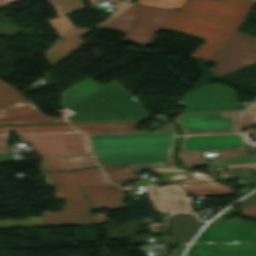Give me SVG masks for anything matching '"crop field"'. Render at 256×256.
I'll use <instances>...</instances> for the list:
<instances>
[{
	"instance_id": "crop-field-29",
	"label": "crop field",
	"mask_w": 256,
	"mask_h": 256,
	"mask_svg": "<svg viewBox=\"0 0 256 256\" xmlns=\"http://www.w3.org/2000/svg\"><path fill=\"white\" fill-rule=\"evenodd\" d=\"M49 23L61 36L68 28L74 27L66 15L48 19Z\"/></svg>"
},
{
	"instance_id": "crop-field-19",
	"label": "crop field",
	"mask_w": 256,
	"mask_h": 256,
	"mask_svg": "<svg viewBox=\"0 0 256 256\" xmlns=\"http://www.w3.org/2000/svg\"><path fill=\"white\" fill-rule=\"evenodd\" d=\"M49 165H52L49 166ZM42 171L80 170L97 166L93 157L42 159Z\"/></svg>"
},
{
	"instance_id": "crop-field-24",
	"label": "crop field",
	"mask_w": 256,
	"mask_h": 256,
	"mask_svg": "<svg viewBox=\"0 0 256 256\" xmlns=\"http://www.w3.org/2000/svg\"><path fill=\"white\" fill-rule=\"evenodd\" d=\"M224 164L256 161V156H249L246 149L218 150Z\"/></svg>"
},
{
	"instance_id": "crop-field-31",
	"label": "crop field",
	"mask_w": 256,
	"mask_h": 256,
	"mask_svg": "<svg viewBox=\"0 0 256 256\" xmlns=\"http://www.w3.org/2000/svg\"><path fill=\"white\" fill-rule=\"evenodd\" d=\"M132 3H128V2H123L121 1L119 4H117V6H120L118 9H116L114 12H112L111 14H109V16L103 20L98 26L97 28H101L102 26H104L106 23H108L111 19H113L116 15H118L121 11H123L125 8H127L128 6H130Z\"/></svg>"
},
{
	"instance_id": "crop-field-20",
	"label": "crop field",
	"mask_w": 256,
	"mask_h": 256,
	"mask_svg": "<svg viewBox=\"0 0 256 256\" xmlns=\"http://www.w3.org/2000/svg\"><path fill=\"white\" fill-rule=\"evenodd\" d=\"M100 87L102 86L88 77L62 92L60 105L61 107L67 106Z\"/></svg>"
},
{
	"instance_id": "crop-field-2",
	"label": "crop field",
	"mask_w": 256,
	"mask_h": 256,
	"mask_svg": "<svg viewBox=\"0 0 256 256\" xmlns=\"http://www.w3.org/2000/svg\"><path fill=\"white\" fill-rule=\"evenodd\" d=\"M140 122L73 125L83 134L94 155L150 153L173 157L177 132L169 122L151 132L133 130Z\"/></svg>"
},
{
	"instance_id": "crop-field-25",
	"label": "crop field",
	"mask_w": 256,
	"mask_h": 256,
	"mask_svg": "<svg viewBox=\"0 0 256 256\" xmlns=\"http://www.w3.org/2000/svg\"><path fill=\"white\" fill-rule=\"evenodd\" d=\"M50 3L56 10V15H63L84 8L80 0H43Z\"/></svg>"
},
{
	"instance_id": "crop-field-17",
	"label": "crop field",
	"mask_w": 256,
	"mask_h": 256,
	"mask_svg": "<svg viewBox=\"0 0 256 256\" xmlns=\"http://www.w3.org/2000/svg\"><path fill=\"white\" fill-rule=\"evenodd\" d=\"M203 222L197 221L192 214H176L168 218L167 227L172 237H167L166 243H185L195 234Z\"/></svg>"
},
{
	"instance_id": "crop-field-10",
	"label": "crop field",
	"mask_w": 256,
	"mask_h": 256,
	"mask_svg": "<svg viewBox=\"0 0 256 256\" xmlns=\"http://www.w3.org/2000/svg\"><path fill=\"white\" fill-rule=\"evenodd\" d=\"M95 157L108 177L111 179V182L115 184L141 179L138 174L131 171V166L135 163L151 162L169 166L175 164L174 159L155 158L148 154H126Z\"/></svg>"
},
{
	"instance_id": "crop-field-38",
	"label": "crop field",
	"mask_w": 256,
	"mask_h": 256,
	"mask_svg": "<svg viewBox=\"0 0 256 256\" xmlns=\"http://www.w3.org/2000/svg\"><path fill=\"white\" fill-rule=\"evenodd\" d=\"M14 1H17V0H0V6L4 5V4H7V3L14 2Z\"/></svg>"
},
{
	"instance_id": "crop-field-6",
	"label": "crop field",
	"mask_w": 256,
	"mask_h": 256,
	"mask_svg": "<svg viewBox=\"0 0 256 256\" xmlns=\"http://www.w3.org/2000/svg\"><path fill=\"white\" fill-rule=\"evenodd\" d=\"M175 119L183 135L238 133L242 127L256 126V111L178 114Z\"/></svg>"
},
{
	"instance_id": "crop-field-28",
	"label": "crop field",
	"mask_w": 256,
	"mask_h": 256,
	"mask_svg": "<svg viewBox=\"0 0 256 256\" xmlns=\"http://www.w3.org/2000/svg\"><path fill=\"white\" fill-rule=\"evenodd\" d=\"M184 2L185 0H139L137 3L148 6L179 9Z\"/></svg>"
},
{
	"instance_id": "crop-field-4",
	"label": "crop field",
	"mask_w": 256,
	"mask_h": 256,
	"mask_svg": "<svg viewBox=\"0 0 256 256\" xmlns=\"http://www.w3.org/2000/svg\"><path fill=\"white\" fill-rule=\"evenodd\" d=\"M118 84V83H117ZM114 81L66 107L69 122L140 120L146 112Z\"/></svg>"
},
{
	"instance_id": "crop-field-40",
	"label": "crop field",
	"mask_w": 256,
	"mask_h": 256,
	"mask_svg": "<svg viewBox=\"0 0 256 256\" xmlns=\"http://www.w3.org/2000/svg\"><path fill=\"white\" fill-rule=\"evenodd\" d=\"M7 86L4 82L0 81V87Z\"/></svg>"
},
{
	"instance_id": "crop-field-37",
	"label": "crop field",
	"mask_w": 256,
	"mask_h": 256,
	"mask_svg": "<svg viewBox=\"0 0 256 256\" xmlns=\"http://www.w3.org/2000/svg\"><path fill=\"white\" fill-rule=\"evenodd\" d=\"M244 109H256V98Z\"/></svg>"
},
{
	"instance_id": "crop-field-22",
	"label": "crop field",
	"mask_w": 256,
	"mask_h": 256,
	"mask_svg": "<svg viewBox=\"0 0 256 256\" xmlns=\"http://www.w3.org/2000/svg\"><path fill=\"white\" fill-rule=\"evenodd\" d=\"M184 189L191 191L194 196H211L231 194L230 187L215 183L179 184Z\"/></svg>"
},
{
	"instance_id": "crop-field-18",
	"label": "crop field",
	"mask_w": 256,
	"mask_h": 256,
	"mask_svg": "<svg viewBox=\"0 0 256 256\" xmlns=\"http://www.w3.org/2000/svg\"><path fill=\"white\" fill-rule=\"evenodd\" d=\"M90 29H74L68 31L63 37V42H57L47 53L46 57L50 64L55 65L83 41L79 38ZM63 37L61 39H63Z\"/></svg>"
},
{
	"instance_id": "crop-field-36",
	"label": "crop field",
	"mask_w": 256,
	"mask_h": 256,
	"mask_svg": "<svg viewBox=\"0 0 256 256\" xmlns=\"http://www.w3.org/2000/svg\"><path fill=\"white\" fill-rule=\"evenodd\" d=\"M248 167H256V164H243V165L227 166V168H248Z\"/></svg>"
},
{
	"instance_id": "crop-field-8",
	"label": "crop field",
	"mask_w": 256,
	"mask_h": 256,
	"mask_svg": "<svg viewBox=\"0 0 256 256\" xmlns=\"http://www.w3.org/2000/svg\"><path fill=\"white\" fill-rule=\"evenodd\" d=\"M179 104L183 112H210L242 110L249 103H236L234 89L211 84L184 95Z\"/></svg>"
},
{
	"instance_id": "crop-field-21",
	"label": "crop field",
	"mask_w": 256,
	"mask_h": 256,
	"mask_svg": "<svg viewBox=\"0 0 256 256\" xmlns=\"http://www.w3.org/2000/svg\"><path fill=\"white\" fill-rule=\"evenodd\" d=\"M132 171L135 173H147L157 179L175 176L180 173H186L189 176H194L197 174V173L181 170L175 166L168 167L160 164H150V163L135 164L132 167Z\"/></svg>"
},
{
	"instance_id": "crop-field-32",
	"label": "crop field",
	"mask_w": 256,
	"mask_h": 256,
	"mask_svg": "<svg viewBox=\"0 0 256 256\" xmlns=\"http://www.w3.org/2000/svg\"><path fill=\"white\" fill-rule=\"evenodd\" d=\"M25 98L20 94H13L5 97L0 98V105L7 104V103H12L20 100H24Z\"/></svg>"
},
{
	"instance_id": "crop-field-9",
	"label": "crop field",
	"mask_w": 256,
	"mask_h": 256,
	"mask_svg": "<svg viewBox=\"0 0 256 256\" xmlns=\"http://www.w3.org/2000/svg\"><path fill=\"white\" fill-rule=\"evenodd\" d=\"M40 157L90 155L85 140L78 132L19 135Z\"/></svg>"
},
{
	"instance_id": "crop-field-33",
	"label": "crop field",
	"mask_w": 256,
	"mask_h": 256,
	"mask_svg": "<svg viewBox=\"0 0 256 256\" xmlns=\"http://www.w3.org/2000/svg\"><path fill=\"white\" fill-rule=\"evenodd\" d=\"M242 213L247 218L256 219V205L244 206L242 208Z\"/></svg>"
},
{
	"instance_id": "crop-field-39",
	"label": "crop field",
	"mask_w": 256,
	"mask_h": 256,
	"mask_svg": "<svg viewBox=\"0 0 256 256\" xmlns=\"http://www.w3.org/2000/svg\"><path fill=\"white\" fill-rule=\"evenodd\" d=\"M89 1H90V4L95 5V0H89ZM108 1H114V2H117L118 0H108Z\"/></svg>"
},
{
	"instance_id": "crop-field-35",
	"label": "crop field",
	"mask_w": 256,
	"mask_h": 256,
	"mask_svg": "<svg viewBox=\"0 0 256 256\" xmlns=\"http://www.w3.org/2000/svg\"><path fill=\"white\" fill-rule=\"evenodd\" d=\"M93 220L94 222H104L107 221V218L104 214H96L93 216Z\"/></svg>"
},
{
	"instance_id": "crop-field-1",
	"label": "crop field",
	"mask_w": 256,
	"mask_h": 256,
	"mask_svg": "<svg viewBox=\"0 0 256 256\" xmlns=\"http://www.w3.org/2000/svg\"><path fill=\"white\" fill-rule=\"evenodd\" d=\"M253 0H189L164 30L206 40L191 56L205 61L240 27Z\"/></svg>"
},
{
	"instance_id": "crop-field-3",
	"label": "crop field",
	"mask_w": 256,
	"mask_h": 256,
	"mask_svg": "<svg viewBox=\"0 0 256 256\" xmlns=\"http://www.w3.org/2000/svg\"><path fill=\"white\" fill-rule=\"evenodd\" d=\"M86 196L92 209L99 208H115L123 207L120 199L123 194V189L118 186L113 187H83ZM57 199H64L67 207L65 211L50 213L43 211L44 216L26 217L23 219L13 220H28L41 219L32 221H16V222H0L1 224H17V223H33L42 222V224L29 225H5L4 227H32V226H59V225H80L91 224L89 208L87 201L84 198L81 187H63L58 188L57 192L53 193ZM3 221V220H0Z\"/></svg>"
},
{
	"instance_id": "crop-field-5",
	"label": "crop field",
	"mask_w": 256,
	"mask_h": 256,
	"mask_svg": "<svg viewBox=\"0 0 256 256\" xmlns=\"http://www.w3.org/2000/svg\"><path fill=\"white\" fill-rule=\"evenodd\" d=\"M179 10L155 9L134 4L105 29L126 34L122 40L136 46L151 45L157 31H162Z\"/></svg>"
},
{
	"instance_id": "crop-field-11",
	"label": "crop field",
	"mask_w": 256,
	"mask_h": 256,
	"mask_svg": "<svg viewBox=\"0 0 256 256\" xmlns=\"http://www.w3.org/2000/svg\"><path fill=\"white\" fill-rule=\"evenodd\" d=\"M235 208H230L218 217L194 242H227L256 240V226L233 219L225 221L226 214L234 212Z\"/></svg>"
},
{
	"instance_id": "crop-field-23",
	"label": "crop field",
	"mask_w": 256,
	"mask_h": 256,
	"mask_svg": "<svg viewBox=\"0 0 256 256\" xmlns=\"http://www.w3.org/2000/svg\"><path fill=\"white\" fill-rule=\"evenodd\" d=\"M7 131H16L18 133H31L74 131V129L70 125L0 127V134H7Z\"/></svg>"
},
{
	"instance_id": "crop-field-15",
	"label": "crop field",
	"mask_w": 256,
	"mask_h": 256,
	"mask_svg": "<svg viewBox=\"0 0 256 256\" xmlns=\"http://www.w3.org/2000/svg\"><path fill=\"white\" fill-rule=\"evenodd\" d=\"M50 176L48 187L81 186L83 183L106 178L100 168L77 172H51L43 173ZM83 186H112L107 179L84 184Z\"/></svg>"
},
{
	"instance_id": "crop-field-34",
	"label": "crop field",
	"mask_w": 256,
	"mask_h": 256,
	"mask_svg": "<svg viewBox=\"0 0 256 256\" xmlns=\"http://www.w3.org/2000/svg\"><path fill=\"white\" fill-rule=\"evenodd\" d=\"M17 92L18 91H16L15 89H13L10 86L3 87V88H0V97L5 96V95H9V94H13V93H17Z\"/></svg>"
},
{
	"instance_id": "crop-field-13",
	"label": "crop field",
	"mask_w": 256,
	"mask_h": 256,
	"mask_svg": "<svg viewBox=\"0 0 256 256\" xmlns=\"http://www.w3.org/2000/svg\"><path fill=\"white\" fill-rule=\"evenodd\" d=\"M246 148L242 134L183 136L178 151Z\"/></svg>"
},
{
	"instance_id": "crop-field-30",
	"label": "crop field",
	"mask_w": 256,
	"mask_h": 256,
	"mask_svg": "<svg viewBox=\"0 0 256 256\" xmlns=\"http://www.w3.org/2000/svg\"><path fill=\"white\" fill-rule=\"evenodd\" d=\"M7 136H0V162L13 160L6 144Z\"/></svg>"
},
{
	"instance_id": "crop-field-7",
	"label": "crop field",
	"mask_w": 256,
	"mask_h": 256,
	"mask_svg": "<svg viewBox=\"0 0 256 256\" xmlns=\"http://www.w3.org/2000/svg\"><path fill=\"white\" fill-rule=\"evenodd\" d=\"M208 60L217 62L210 71L218 77L256 61V38L236 31Z\"/></svg>"
},
{
	"instance_id": "crop-field-14",
	"label": "crop field",
	"mask_w": 256,
	"mask_h": 256,
	"mask_svg": "<svg viewBox=\"0 0 256 256\" xmlns=\"http://www.w3.org/2000/svg\"><path fill=\"white\" fill-rule=\"evenodd\" d=\"M65 122L62 118L45 117L29 100L0 106V125Z\"/></svg>"
},
{
	"instance_id": "crop-field-26",
	"label": "crop field",
	"mask_w": 256,
	"mask_h": 256,
	"mask_svg": "<svg viewBox=\"0 0 256 256\" xmlns=\"http://www.w3.org/2000/svg\"><path fill=\"white\" fill-rule=\"evenodd\" d=\"M178 158L183 161L184 168L206 165L203 160L202 151L177 152Z\"/></svg>"
},
{
	"instance_id": "crop-field-27",
	"label": "crop field",
	"mask_w": 256,
	"mask_h": 256,
	"mask_svg": "<svg viewBox=\"0 0 256 256\" xmlns=\"http://www.w3.org/2000/svg\"><path fill=\"white\" fill-rule=\"evenodd\" d=\"M196 182H215V180L196 175L194 177H189L188 175L181 174L175 177L168 179H160L158 184H167V183H196Z\"/></svg>"
},
{
	"instance_id": "crop-field-16",
	"label": "crop field",
	"mask_w": 256,
	"mask_h": 256,
	"mask_svg": "<svg viewBox=\"0 0 256 256\" xmlns=\"http://www.w3.org/2000/svg\"><path fill=\"white\" fill-rule=\"evenodd\" d=\"M187 256H256L253 243L193 244Z\"/></svg>"
},
{
	"instance_id": "crop-field-12",
	"label": "crop field",
	"mask_w": 256,
	"mask_h": 256,
	"mask_svg": "<svg viewBox=\"0 0 256 256\" xmlns=\"http://www.w3.org/2000/svg\"><path fill=\"white\" fill-rule=\"evenodd\" d=\"M144 186L158 211H192V197H186L188 191L180 188L178 184L161 188L157 185Z\"/></svg>"
}]
</instances>
